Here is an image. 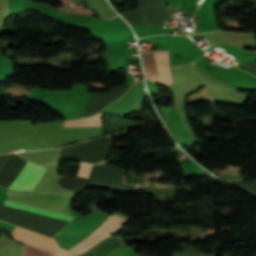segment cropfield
<instances>
[{
	"instance_id": "obj_1",
	"label": "crop field",
	"mask_w": 256,
	"mask_h": 256,
	"mask_svg": "<svg viewBox=\"0 0 256 256\" xmlns=\"http://www.w3.org/2000/svg\"><path fill=\"white\" fill-rule=\"evenodd\" d=\"M108 216V213L97 209L80 220H74L69 223L53 236V239L57 242L58 246L68 250L89 235L104 222Z\"/></svg>"
},
{
	"instance_id": "obj_2",
	"label": "crop field",
	"mask_w": 256,
	"mask_h": 256,
	"mask_svg": "<svg viewBox=\"0 0 256 256\" xmlns=\"http://www.w3.org/2000/svg\"><path fill=\"white\" fill-rule=\"evenodd\" d=\"M145 78L161 86L173 84L168 51L141 52Z\"/></svg>"
},
{
	"instance_id": "obj_3",
	"label": "crop field",
	"mask_w": 256,
	"mask_h": 256,
	"mask_svg": "<svg viewBox=\"0 0 256 256\" xmlns=\"http://www.w3.org/2000/svg\"><path fill=\"white\" fill-rule=\"evenodd\" d=\"M125 220L111 214L108 219L104 223H102L90 236H88L85 240L71 248L69 251L76 254L84 252L85 250L93 246L96 242L104 239L112 232H114L125 222Z\"/></svg>"
},
{
	"instance_id": "obj_4",
	"label": "crop field",
	"mask_w": 256,
	"mask_h": 256,
	"mask_svg": "<svg viewBox=\"0 0 256 256\" xmlns=\"http://www.w3.org/2000/svg\"><path fill=\"white\" fill-rule=\"evenodd\" d=\"M160 112L165 120L167 128L174 137L178 145L193 143L194 140L186 131L178 114H175L172 106L159 107Z\"/></svg>"
},
{
	"instance_id": "obj_5",
	"label": "crop field",
	"mask_w": 256,
	"mask_h": 256,
	"mask_svg": "<svg viewBox=\"0 0 256 256\" xmlns=\"http://www.w3.org/2000/svg\"><path fill=\"white\" fill-rule=\"evenodd\" d=\"M6 231L11 233L14 239L18 242H22L27 245H30L54 254L56 252L57 246L55 242L49 238L17 228L12 225H10Z\"/></svg>"
},
{
	"instance_id": "obj_6",
	"label": "crop field",
	"mask_w": 256,
	"mask_h": 256,
	"mask_svg": "<svg viewBox=\"0 0 256 256\" xmlns=\"http://www.w3.org/2000/svg\"><path fill=\"white\" fill-rule=\"evenodd\" d=\"M45 171L46 168L27 162L10 188L19 190H32Z\"/></svg>"
},
{
	"instance_id": "obj_7",
	"label": "crop field",
	"mask_w": 256,
	"mask_h": 256,
	"mask_svg": "<svg viewBox=\"0 0 256 256\" xmlns=\"http://www.w3.org/2000/svg\"><path fill=\"white\" fill-rule=\"evenodd\" d=\"M4 205L22 209V210H26V211H30V212H34V213H38V214H42V215H46V216H50V217H54V218H58V219H62V220H67V221H70L73 218V216L53 212L50 210L30 206L27 204L11 201V200H7V199L5 200Z\"/></svg>"
},
{
	"instance_id": "obj_8",
	"label": "crop field",
	"mask_w": 256,
	"mask_h": 256,
	"mask_svg": "<svg viewBox=\"0 0 256 256\" xmlns=\"http://www.w3.org/2000/svg\"><path fill=\"white\" fill-rule=\"evenodd\" d=\"M82 126H102L101 112L88 118L64 121L62 127H82Z\"/></svg>"
},
{
	"instance_id": "obj_9",
	"label": "crop field",
	"mask_w": 256,
	"mask_h": 256,
	"mask_svg": "<svg viewBox=\"0 0 256 256\" xmlns=\"http://www.w3.org/2000/svg\"><path fill=\"white\" fill-rule=\"evenodd\" d=\"M223 50L227 51L231 55L241 59V60H247V61H255L256 60V52H245L233 47H227L223 48Z\"/></svg>"
},
{
	"instance_id": "obj_10",
	"label": "crop field",
	"mask_w": 256,
	"mask_h": 256,
	"mask_svg": "<svg viewBox=\"0 0 256 256\" xmlns=\"http://www.w3.org/2000/svg\"><path fill=\"white\" fill-rule=\"evenodd\" d=\"M90 168V164L80 163L76 176L88 178Z\"/></svg>"
},
{
	"instance_id": "obj_11",
	"label": "crop field",
	"mask_w": 256,
	"mask_h": 256,
	"mask_svg": "<svg viewBox=\"0 0 256 256\" xmlns=\"http://www.w3.org/2000/svg\"><path fill=\"white\" fill-rule=\"evenodd\" d=\"M56 256H74V254H72L66 250H63L61 248H58V253Z\"/></svg>"
},
{
	"instance_id": "obj_12",
	"label": "crop field",
	"mask_w": 256,
	"mask_h": 256,
	"mask_svg": "<svg viewBox=\"0 0 256 256\" xmlns=\"http://www.w3.org/2000/svg\"><path fill=\"white\" fill-rule=\"evenodd\" d=\"M134 81L140 79V77H133Z\"/></svg>"
},
{
	"instance_id": "obj_13",
	"label": "crop field",
	"mask_w": 256,
	"mask_h": 256,
	"mask_svg": "<svg viewBox=\"0 0 256 256\" xmlns=\"http://www.w3.org/2000/svg\"><path fill=\"white\" fill-rule=\"evenodd\" d=\"M239 64H240V63H239ZM239 64H238V65H239ZM237 67H238V66H237Z\"/></svg>"
}]
</instances>
